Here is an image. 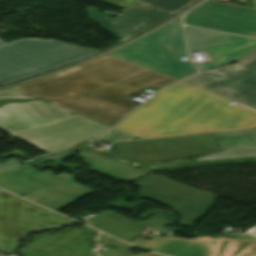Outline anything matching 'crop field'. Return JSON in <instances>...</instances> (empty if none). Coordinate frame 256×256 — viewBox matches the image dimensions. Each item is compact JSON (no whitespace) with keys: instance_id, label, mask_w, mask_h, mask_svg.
Wrapping results in <instances>:
<instances>
[{"instance_id":"92a150f3","label":"crop field","mask_w":256,"mask_h":256,"mask_svg":"<svg viewBox=\"0 0 256 256\" xmlns=\"http://www.w3.org/2000/svg\"><path fill=\"white\" fill-rule=\"evenodd\" d=\"M148 5L173 12L191 0H138Z\"/></svg>"},{"instance_id":"34b2d1b8","label":"crop field","mask_w":256,"mask_h":256,"mask_svg":"<svg viewBox=\"0 0 256 256\" xmlns=\"http://www.w3.org/2000/svg\"><path fill=\"white\" fill-rule=\"evenodd\" d=\"M151 71L110 54L10 89L35 98L55 101L86 94Z\"/></svg>"},{"instance_id":"730fd06b","label":"crop field","mask_w":256,"mask_h":256,"mask_svg":"<svg viewBox=\"0 0 256 256\" xmlns=\"http://www.w3.org/2000/svg\"><path fill=\"white\" fill-rule=\"evenodd\" d=\"M256 228V226L254 227ZM238 238H247V239H256V229L253 230L252 232L250 233H246L244 232L243 234H240L237 236Z\"/></svg>"},{"instance_id":"bd1437ed","label":"crop field","mask_w":256,"mask_h":256,"mask_svg":"<svg viewBox=\"0 0 256 256\" xmlns=\"http://www.w3.org/2000/svg\"><path fill=\"white\" fill-rule=\"evenodd\" d=\"M94 256H96V255H94Z\"/></svg>"},{"instance_id":"4177f3b9","label":"crop field","mask_w":256,"mask_h":256,"mask_svg":"<svg viewBox=\"0 0 256 256\" xmlns=\"http://www.w3.org/2000/svg\"><path fill=\"white\" fill-rule=\"evenodd\" d=\"M111 4H114L116 6L119 7H126L127 5H129L131 2H133L134 0H102Z\"/></svg>"},{"instance_id":"d8731c3e","label":"crop field","mask_w":256,"mask_h":256,"mask_svg":"<svg viewBox=\"0 0 256 256\" xmlns=\"http://www.w3.org/2000/svg\"><path fill=\"white\" fill-rule=\"evenodd\" d=\"M135 185L141 188L140 197L159 201L179 212V225L193 228L213 206L218 196L174 180L149 174Z\"/></svg>"},{"instance_id":"412701ff","label":"crop field","mask_w":256,"mask_h":256,"mask_svg":"<svg viewBox=\"0 0 256 256\" xmlns=\"http://www.w3.org/2000/svg\"><path fill=\"white\" fill-rule=\"evenodd\" d=\"M97 52L58 40L21 39L8 44L0 41V85L72 63Z\"/></svg>"},{"instance_id":"3316defc","label":"crop field","mask_w":256,"mask_h":256,"mask_svg":"<svg viewBox=\"0 0 256 256\" xmlns=\"http://www.w3.org/2000/svg\"><path fill=\"white\" fill-rule=\"evenodd\" d=\"M239 69L220 67L182 82L256 109V48L237 61Z\"/></svg>"},{"instance_id":"dd49c442","label":"crop field","mask_w":256,"mask_h":256,"mask_svg":"<svg viewBox=\"0 0 256 256\" xmlns=\"http://www.w3.org/2000/svg\"><path fill=\"white\" fill-rule=\"evenodd\" d=\"M110 54L176 80L196 72L190 63L181 61V56H186V50L180 20Z\"/></svg>"},{"instance_id":"ac0d7876","label":"crop field","mask_w":256,"mask_h":256,"mask_svg":"<svg viewBox=\"0 0 256 256\" xmlns=\"http://www.w3.org/2000/svg\"><path fill=\"white\" fill-rule=\"evenodd\" d=\"M40 100L0 107V128L46 153L65 148L110 129Z\"/></svg>"},{"instance_id":"bc2a9ffb","label":"crop field","mask_w":256,"mask_h":256,"mask_svg":"<svg viewBox=\"0 0 256 256\" xmlns=\"http://www.w3.org/2000/svg\"><path fill=\"white\" fill-rule=\"evenodd\" d=\"M212 256H256V241L220 238Z\"/></svg>"},{"instance_id":"28ad6ade","label":"crop field","mask_w":256,"mask_h":256,"mask_svg":"<svg viewBox=\"0 0 256 256\" xmlns=\"http://www.w3.org/2000/svg\"><path fill=\"white\" fill-rule=\"evenodd\" d=\"M124 158L136 162L165 161L218 150L211 134L115 143Z\"/></svg>"},{"instance_id":"cbeb9de0","label":"crop field","mask_w":256,"mask_h":256,"mask_svg":"<svg viewBox=\"0 0 256 256\" xmlns=\"http://www.w3.org/2000/svg\"><path fill=\"white\" fill-rule=\"evenodd\" d=\"M87 11L89 17L120 42L173 15L141 3H135L120 15L109 19L96 9L88 8Z\"/></svg>"},{"instance_id":"5a996713","label":"crop field","mask_w":256,"mask_h":256,"mask_svg":"<svg viewBox=\"0 0 256 256\" xmlns=\"http://www.w3.org/2000/svg\"><path fill=\"white\" fill-rule=\"evenodd\" d=\"M70 220L0 192V251L11 253L19 240L29 232L68 224Z\"/></svg>"},{"instance_id":"22f410ed","label":"crop field","mask_w":256,"mask_h":256,"mask_svg":"<svg viewBox=\"0 0 256 256\" xmlns=\"http://www.w3.org/2000/svg\"><path fill=\"white\" fill-rule=\"evenodd\" d=\"M184 22L256 38V9L206 1L188 13Z\"/></svg>"},{"instance_id":"a9b5d70f","label":"crop field","mask_w":256,"mask_h":256,"mask_svg":"<svg viewBox=\"0 0 256 256\" xmlns=\"http://www.w3.org/2000/svg\"><path fill=\"white\" fill-rule=\"evenodd\" d=\"M86 145L87 144L77 146V147H80V148H83V149H86V150H89V151H92V152H95V153H98V154H101V155H104V156H107V157H110V158H113V159H116V160H119V161L127 163V164H129V162H130L129 160H126V159H124L122 157H119V156H115V155H111V154L104 153V152H101V151L93 150L91 148L86 147Z\"/></svg>"},{"instance_id":"dafd665d","label":"crop field","mask_w":256,"mask_h":256,"mask_svg":"<svg viewBox=\"0 0 256 256\" xmlns=\"http://www.w3.org/2000/svg\"><path fill=\"white\" fill-rule=\"evenodd\" d=\"M131 139H137V138L121 133L116 130H112L109 134L105 135L103 138L95 140V142L99 143L101 140L114 142V141L131 140Z\"/></svg>"},{"instance_id":"5142ce71","label":"crop field","mask_w":256,"mask_h":256,"mask_svg":"<svg viewBox=\"0 0 256 256\" xmlns=\"http://www.w3.org/2000/svg\"><path fill=\"white\" fill-rule=\"evenodd\" d=\"M76 151L80 152L79 157L84 159V163L91 166L89 170L114 178L119 181H127L130 179L138 178L146 173L130 165L97 155L76 147L66 149V150L54 153L52 155L40 158L38 160H35V163L37 166L43 167L42 165L43 161L52 159L55 161V164L53 165V167L75 165L77 167L71 170H78V169H81L82 167L76 164L61 162L65 159H68L74 156Z\"/></svg>"},{"instance_id":"d1516ede","label":"crop field","mask_w":256,"mask_h":256,"mask_svg":"<svg viewBox=\"0 0 256 256\" xmlns=\"http://www.w3.org/2000/svg\"><path fill=\"white\" fill-rule=\"evenodd\" d=\"M189 52L206 51L215 61L198 65L208 70L236 62L256 47V39L204 29L185 27Z\"/></svg>"},{"instance_id":"4a817a6b","label":"crop field","mask_w":256,"mask_h":256,"mask_svg":"<svg viewBox=\"0 0 256 256\" xmlns=\"http://www.w3.org/2000/svg\"><path fill=\"white\" fill-rule=\"evenodd\" d=\"M214 240H186L172 237L151 251L170 256H208Z\"/></svg>"},{"instance_id":"eef30255","label":"crop field","mask_w":256,"mask_h":256,"mask_svg":"<svg viewBox=\"0 0 256 256\" xmlns=\"http://www.w3.org/2000/svg\"><path fill=\"white\" fill-rule=\"evenodd\" d=\"M125 200H127V199H122L121 201L115 202V203L111 204L110 206L114 207V208H122L125 205H127V203L124 202Z\"/></svg>"},{"instance_id":"e52e79f7","label":"crop field","mask_w":256,"mask_h":256,"mask_svg":"<svg viewBox=\"0 0 256 256\" xmlns=\"http://www.w3.org/2000/svg\"><path fill=\"white\" fill-rule=\"evenodd\" d=\"M23 164L0 171V187L25 198L38 202L55 211L94 192L73 181L77 174L62 173L54 176L52 172L39 173Z\"/></svg>"},{"instance_id":"00972430","label":"crop field","mask_w":256,"mask_h":256,"mask_svg":"<svg viewBox=\"0 0 256 256\" xmlns=\"http://www.w3.org/2000/svg\"><path fill=\"white\" fill-rule=\"evenodd\" d=\"M2 98L33 99L32 97H29L27 95L15 92V91L10 90V89L0 91V99H2Z\"/></svg>"},{"instance_id":"d9b57169","label":"crop field","mask_w":256,"mask_h":256,"mask_svg":"<svg viewBox=\"0 0 256 256\" xmlns=\"http://www.w3.org/2000/svg\"><path fill=\"white\" fill-rule=\"evenodd\" d=\"M213 136L221 149L224 150L205 155L194 161L256 157V134L254 130L217 133Z\"/></svg>"},{"instance_id":"750c4746","label":"crop field","mask_w":256,"mask_h":256,"mask_svg":"<svg viewBox=\"0 0 256 256\" xmlns=\"http://www.w3.org/2000/svg\"><path fill=\"white\" fill-rule=\"evenodd\" d=\"M254 8H256V0H252Z\"/></svg>"},{"instance_id":"8a807250","label":"crop field","mask_w":256,"mask_h":256,"mask_svg":"<svg viewBox=\"0 0 256 256\" xmlns=\"http://www.w3.org/2000/svg\"><path fill=\"white\" fill-rule=\"evenodd\" d=\"M182 83L161 90L115 129L139 138L256 127V110Z\"/></svg>"},{"instance_id":"f4fd0767","label":"crop field","mask_w":256,"mask_h":256,"mask_svg":"<svg viewBox=\"0 0 256 256\" xmlns=\"http://www.w3.org/2000/svg\"><path fill=\"white\" fill-rule=\"evenodd\" d=\"M175 81L151 71L98 92L51 102V104L112 127L136 107L133 101L124 96L149 85L160 89Z\"/></svg>"},{"instance_id":"733c2abd","label":"crop field","mask_w":256,"mask_h":256,"mask_svg":"<svg viewBox=\"0 0 256 256\" xmlns=\"http://www.w3.org/2000/svg\"><path fill=\"white\" fill-rule=\"evenodd\" d=\"M163 218L164 217L161 216H155L140 224L134 220L106 210L89 218L88 223L93 224V227L110 235L130 241L139 237L137 232L139 229L147 225L155 228L159 225Z\"/></svg>"},{"instance_id":"d3111659","label":"crop field","mask_w":256,"mask_h":256,"mask_svg":"<svg viewBox=\"0 0 256 256\" xmlns=\"http://www.w3.org/2000/svg\"><path fill=\"white\" fill-rule=\"evenodd\" d=\"M233 68V70H236L238 68V66L234 63V64H230Z\"/></svg>"},{"instance_id":"214f88e0","label":"crop field","mask_w":256,"mask_h":256,"mask_svg":"<svg viewBox=\"0 0 256 256\" xmlns=\"http://www.w3.org/2000/svg\"><path fill=\"white\" fill-rule=\"evenodd\" d=\"M97 240L116 248L114 250L100 253L99 254L100 256H133V255H131V252H130V249L135 248L133 246H130V245L123 243L119 240H116L114 238L106 236L102 233H100ZM134 256H159V255L147 253V254H138V255H134Z\"/></svg>"},{"instance_id":"ae1a2a85","label":"crop field","mask_w":256,"mask_h":256,"mask_svg":"<svg viewBox=\"0 0 256 256\" xmlns=\"http://www.w3.org/2000/svg\"><path fill=\"white\" fill-rule=\"evenodd\" d=\"M17 162H19V161L16 160V159H14V158H12V159H10L8 162L0 164V169H1V168H4V167H6V166L12 165V164H14V163H17Z\"/></svg>"}]
</instances>
